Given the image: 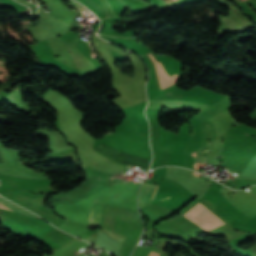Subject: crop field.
I'll list each match as a JSON object with an SVG mask.
<instances>
[{
    "mask_svg": "<svg viewBox=\"0 0 256 256\" xmlns=\"http://www.w3.org/2000/svg\"><path fill=\"white\" fill-rule=\"evenodd\" d=\"M201 231L214 226L220 222L215 214L207 209L199 201L184 213Z\"/></svg>",
    "mask_w": 256,
    "mask_h": 256,
    "instance_id": "1",
    "label": "crop field"
},
{
    "mask_svg": "<svg viewBox=\"0 0 256 256\" xmlns=\"http://www.w3.org/2000/svg\"><path fill=\"white\" fill-rule=\"evenodd\" d=\"M212 103L214 102L150 99L147 106L158 107V108L178 107L181 109L201 111Z\"/></svg>",
    "mask_w": 256,
    "mask_h": 256,
    "instance_id": "2",
    "label": "crop field"
},
{
    "mask_svg": "<svg viewBox=\"0 0 256 256\" xmlns=\"http://www.w3.org/2000/svg\"><path fill=\"white\" fill-rule=\"evenodd\" d=\"M157 189L158 187L156 186V191ZM154 195L155 186L144 182L139 196L140 206L145 207L147 204H149Z\"/></svg>",
    "mask_w": 256,
    "mask_h": 256,
    "instance_id": "3",
    "label": "crop field"
},
{
    "mask_svg": "<svg viewBox=\"0 0 256 256\" xmlns=\"http://www.w3.org/2000/svg\"><path fill=\"white\" fill-rule=\"evenodd\" d=\"M149 54L151 55V53H149ZM152 58L154 59L153 56H152ZM154 61L156 63V67H157V71H158V75H159V79H160L162 89L173 85L178 76L176 74H174V75L169 77L168 74L165 72L162 64L160 62L156 61L155 59H154Z\"/></svg>",
    "mask_w": 256,
    "mask_h": 256,
    "instance_id": "4",
    "label": "crop field"
},
{
    "mask_svg": "<svg viewBox=\"0 0 256 256\" xmlns=\"http://www.w3.org/2000/svg\"><path fill=\"white\" fill-rule=\"evenodd\" d=\"M102 207H103V204H101V203H96V202L92 203V207H91L89 217H88V223H97L98 224L99 217L102 212Z\"/></svg>",
    "mask_w": 256,
    "mask_h": 256,
    "instance_id": "5",
    "label": "crop field"
},
{
    "mask_svg": "<svg viewBox=\"0 0 256 256\" xmlns=\"http://www.w3.org/2000/svg\"><path fill=\"white\" fill-rule=\"evenodd\" d=\"M0 205H2V206H4V207H7V208H10V209H12V210L18 211V212H20V213H23V212H21V211H19V210H17V209H14V208H12V207H10V206H8V205L2 203V202H0ZM4 207H1V206H0V208L7 209V208H4ZM8 210H9V209H8ZM12 210H11V211H12ZM15 211H14V212H15ZM23 214H25V213H23Z\"/></svg>",
    "mask_w": 256,
    "mask_h": 256,
    "instance_id": "6",
    "label": "crop field"
},
{
    "mask_svg": "<svg viewBox=\"0 0 256 256\" xmlns=\"http://www.w3.org/2000/svg\"><path fill=\"white\" fill-rule=\"evenodd\" d=\"M150 256H159V254H156L154 252H151Z\"/></svg>",
    "mask_w": 256,
    "mask_h": 256,
    "instance_id": "7",
    "label": "crop field"
},
{
    "mask_svg": "<svg viewBox=\"0 0 256 256\" xmlns=\"http://www.w3.org/2000/svg\"><path fill=\"white\" fill-rule=\"evenodd\" d=\"M163 1H165L166 3H168V2H170V1H172V0H163Z\"/></svg>",
    "mask_w": 256,
    "mask_h": 256,
    "instance_id": "8",
    "label": "crop field"
}]
</instances>
